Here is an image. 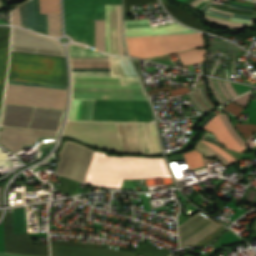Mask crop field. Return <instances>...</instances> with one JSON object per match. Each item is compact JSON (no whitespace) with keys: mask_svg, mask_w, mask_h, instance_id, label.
<instances>
[{"mask_svg":"<svg viewBox=\"0 0 256 256\" xmlns=\"http://www.w3.org/2000/svg\"><path fill=\"white\" fill-rule=\"evenodd\" d=\"M136 253L147 255V256H169L171 253L161 250L159 248L153 247L146 243L139 246Z\"/></svg>","mask_w":256,"mask_h":256,"instance_id":"730fd06b","label":"crop field"},{"mask_svg":"<svg viewBox=\"0 0 256 256\" xmlns=\"http://www.w3.org/2000/svg\"><path fill=\"white\" fill-rule=\"evenodd\" d=\"M235 60H236V57H235V59L231 62V66H230V75H234L233 72H235V71H234Z\"/></svg>","mask_w":256,"mask_h":256,"instance_id":"b54c1fbb","label":"crop field"},{"mask_svg":"<svg viewBox=\"0 0 256 256\" xmlns=\"http://www.w3.org/2000/svg\"><path fill=\"white\" fill-rule=\"evenodd\" d=\"M194 32L176 23L151 27L148 19L125 20L126 37L151 36L157 34ZM130 55L141 58L162 55L158 36L126 38Z\"/></svg>","mask_w":256,"mask_h":256,"instance_id":"dd49c442","label":"crop field"},{"mask_svg":"<svg viewBox=\"0 0 256 256\" xmlns=\"http://www.w3.org/2000/svg\"><path fill=\"white\" fill-rule=\"evenodd\" d=\"M166 90H169V92L172 96H175V95H178V94L180 95L182 93L191 92L190 89L188 88V86H184V87H181V88H178V89H175V90H173L172 86H168V87H165V88L149 91V92H147V94L150 95V94H154V93H161V92H164Z\"/></svg>","mask_w":256,"mask_h":256,"instance_id":"bd1437ed","label":"crop field"},{"mask_svg":"<svg viewBox=\"0 0 256 256\" xmlns=\"http://www.w3.org/2000/svg\"><path fill=\"white\" fill-rule=\"evenodd\" d=\"M194 95L197 97V99L199 100V102L202 104L203 107H205L206 109L210 110V108L208 106H206L203 101L200 99L199 95L197 94V92H194Z\"/></svg>","mask_w":256,"mask_h":256,"instance_id":"03da06ac","label":"crop field"},{"mask_svg":"<svg viewBox=\"0 0 256 256\" xmlns=\"http://www.w3.org/2000/svg\"><path fill=\"white\" fill-rule=\"evenodd\" d=\"M14 233L27 232L25 208L13 210Z\"/></svg>","mask_w":256,"mask_h":256,"instance_id":"a9b5d70f","label":"crop field"},{"mask_svg":"<svg viewBox=\"0 0 256 256\" xmlns=\"http://www.w3.org/2000/svg\"><path fill=\"white\" fill-rule=\"evenodd\" d=\"M116 125L123 153L156 155L162 152L155 124Z\"/></svg>","mask_w":256,"mask_h":256,"instance_id":"d8731c3e","label":"crop field"},{"mask_svg":"<svg viewBox=\"0 0 256 256\" xmlns=\"http://www.w3.org/2000/svg\"><path fill=\"white\" fill-rule=\"evenodd\" d=\"M0 24H8V23H5V22H3V21L0 20Z\"/></svg>","mask_w":256,"mask_h":256,"instance_id":"89e229c0","label":"crop field"},{"mask_svg":"<svg viewBox=\"0 0 256 256\" xmlns=\"http://www.w3.org/2000/svg\"><path fill=\"white\" fill-rule=\"evenodd\" d=\"M229 127L231 128L232 132L238 138V140L246 147L245 141L242 137L237 133V131L232 126L227 114H223ZM227 123L225 122L222 114H217L213 117L204 127V129H208L212 131L218 140L222 142L225 147L229 149H233L238 152H242L244 150V146L237 140L234 134L231 132L230 128L228 127Z\"/></svg>","mask_w":256,"mask_h":256,"instance_id":"733c2abd","label":"crop field"},{"mask_svg":"<svg viewBox=\"0 0 256 256\" xmlns=\"http://www.w3.org/2000/svg\"><path fill=\"white\" fill-rule=\"evenodd\" d=\"M67 87L8 80L4 103L64 110Z\"/></svg>","mask_w":256,"mask_h":256,"instance_id":"f4fd0767","label":"crop field"},{"mask_svg":"<svg viewBox=\"0 0 256 256\" xmlns=\"http://www.w3.org/2000/svg\"><path fill=\"white\" fill-rule=\"evenodd\" d=\"M12 24L20 25L42 34H61L60 13L40 14L39 0H30L11 13Z\"/></svg>","mask_w":256,"mask_h":256,"instance_id":"3316defc","label":"crop field"},{"mask_svg":"<svg viewBox=\"0 0 256 256\" xmlns=\"http://www.w3.org/2000/svg\"><path fill=\"white\" fill-rule=\"evenodd\" d=\"M92 120L150 122L153 119L148 101L95 100Z\"/></svg>","mask_w":256,"mask_h":256,"instance_id":"5a996713","label":"crop field"},{"mask_svg":"<svg viewBox=\"0 0 256 256\" xmlns=\"http://www.w3.org/2000/svg\"><path fill=\"white\" fill-rule=\"evenodd\" d=\"M77 184H78L77 181H73V180L62 177L59 190L69 195H73L76 192Z\"/></svg>","mask_w":256,"mask_h":256,"instance_id":"750c4746","label":"crop field"},{"mask_svg":"<svg viewBox=\"0 0 256 256\" xmlns=\"http://www.w3.org/2000/svg\"><path fill=\"white\" fill-rule=\"evenodd\" d=\"M0 256H22V255H11V254H2V253H0Z\"/></svg>","mask_w":256,"mask_h":256,"instance_id":"425ffa30","label":"crop field"},{"mask_svg":"<svg viewBox=\"0 0 256 256\" xmlns=\"http://www.w3.org/2000/svg\"><path fill=\"white\" fill-rule=\"evenodd\" d=\"M235 126L238 128L241 134L245 137V139L256 131V125H252V124L240 125L236 123Z\"/></svg>","mask_w":256,"mask_h":256,"instance_id":"120bbe31","label":"crop field"},{"mask_svg":"<svg viewBox=\"0 0 256 256\" xmlns=\"http://www.w3.org/2000/svg\"><path fill=\"white\" fill-rule=\"evenodd\" d=\"M5 252L49 256L48 245H32L30 234H13L12 212L3 222Z\"/></svg>","mask_w":256,"mask_h":256,"instance_id":"cbeb9de0","label":"crop field"},{"mask_svg":"<svg viewBox=\"0 0 256 256\" xmlns=\"http://www.w3.org/2000/svg\"><path fill=\"white\" fill-rule=\"evenodd\" d=\"M199 95L202 97L203 101L210 107L215 108L214 105L212 104V102L209 100V98L207 97V93L204 89V87H200L197 89Z\"/></svg>","mask_w":256,"mask_h":256,"instance_id":"5866460e","label":"crop field"},{"mask_svg":"<svg viewBox=\"0 0 256 256\" xmlns=\"http://www.w3.org/2000/svg\"><path fill=\"white\" fill-rule=\"evenodd\" d=\"M148 60L159 62V63L165 64V65H169V66L173 65V63L171 62V60H170L168 55L161 56V57H156V58H150Z\"/></svg>","mask_w":256,"mask_h":256,"instance_id":"028f5c9d","label":"crop field"},{"mask_svg":"<svg viewBox=\"0 0 256 256\" xmlns=\"http://www.w3.org/2000/svg\"><path fill=\"white\" fill-rule=\"evenodd\" d=\"M254 1V0H253ZM256 1V0H255Z\"/></svg>","mask_w":256,"mask_h":256,"instance_id":"1f2cbd36","label":"crop field"},{"mask_svg":"<svg viewBox=\"0 0 256 256\" xmlns=\"http://www.w3.org/2000/svg\"><path fill=\"white\" fill-rule=\"evenodd\" d=\"M216 114H212V115H210L202 124H201V128H203V126L213 117V116H215Z\"/></svg>","mask_w":256,"mask_h":256,"instance_id":"d23c7cc5","label":"crop field"},{"mask_svg":"<svg viewBox=\"0 0 256 256\" xmlns=\"http://www.w3.org/2000/svg\"><path fill=\"white\" fill-rule=\"evenodd\" d=\"M157 0H124V15L132 14L131 5L154 3Z\"/></svg>","mask_w":256,"mask_h":256,"instance_id":"1d83c4d3","label":"crop field"},{"mask_svg":"<svg viewBox=\"0 0 256 256\" xmlns=\"http://www.w3.org/2000/svg\"><path fill=\"white\" fill-rule=\"evenodd\" d=\"M105 52L126 55L123 49L121 5H105Z\"/></svg>","mask_w":256,"mask_h":256,"instance_id":"5142ce71","label":"crop field"},{"mask_svg":"<svg viewBox=\"0 0 256 256\" xmlns=\"http://www.w3.org/2000/svg\"><path fill=\"white\" fill-rule=\"evenodd\" d=\"M41 13L60 12L59 0H40Z\"/></svg>","mask_w":256,"mask_h":256,"instance_id":"d3111659","label":"crop field"},{"mask_svg":"<svg viewBox=\"0 0 256 256\" xmlns=\"http://www.w3.org/2000/svg\"><path fill=\"white\" fill-rule=\"evenodd\" d=\"M203 0H195L192 4H190L189 6L191 7H195L197 6L200 2H202ZM212 0H204L202 3H200L197 7H195L196 10L198 11H204L210 4H211Z\"/></svg>","mask_w":256,"mask_h":256,"instance_id":"d32e631a","label":"crop field"},{"mask_svg":"<svg viewBox=\"0 0 256 256\" xmlns=\"http://www.w3.org/2000/svg\"><path fill=\"white\" fill-rule=\"evenodd\" d=\"M171 177L163 158L110 157L94 152L86 183L133 190V179Z\"/></svg>","mask_w":256,"mask_h":256,"instance_id":"ac0d7876","label":"crop field"},{"mask_svg":"<svg viewBox=\"0 0 256 256\" xmlns=\"http://www.w3.org/2000/svg\"><path fill=\"white\" fill-rule=\"evenodd\" d=\"M228 230L215 242L213 246H228L243 242L241 238Z\"/></svg>","mask_w":256,"mask_h":256,"instance_id":"eef30255","label":"crop field"},{"mask_svg":"<svg viewBox=\"0 0 256 256\" xmlns=\"http://www.w3.org/2000/svg\"><path fill=\"white\" fill-rule=\"evenodd\" d=\"M183 155L190 169L205 165L201 154L195 151L184 153Z\"/></svg>","mask_w":256,"mask_h":256,"instance_id":"ae1a2a85","label":"crop field"},{"mask_svg":"<svg viewBox=\"0 0 256 256\" xmlns=\"http://www.w3.org/2000/svg\"><path fill=\"white\" fill-rule=\"evenodd\" d=\"M212 7L225 10V11L235 12V13L253 15V12L243 11V10L253 11V6H250V5L235 4V3H231L230 5H228V7L243 9V10H236L232 8L215 5V4H213ZM212 7H210L209 10L205 13V18L208 21L217 23L225 27H230V28H241L243 26H247L254 23L253 16L225 12V11L214 9Z\"/></svg>","mask_w":256,"mask_h":256,"instance_id":"22f410ed","label":"crop field"},{"mask_svg":"<svg viewBox=\"0 0 256 256\" xmlns=\"http://www.w3.org/2000/svg\"><path fill=\"white\" fill-rule=\"evenodd\" d=\"M163 54H174L203 46L202 34L159 36Z\"/></svg>","mask_w":256,"mask_h":256,"instance_id":"4a817a6b","label":"crop field"},{"mask_svg":"<svg viewBox=\"0 0 256 256\" xmlns=\"http://www.w3.org/2000/svg\"><path fill=\"white\" fill-rule=\"evenodd\" d=\"M203 140L209 141V142H213V143L219 145L218 142H217V140H216V138H215L210 132H207V133L204 135ZM219 146H220V145H219ZM220 147H221V146H220Z\"/></svg>","mask_w":256,"mask_h":256,"instance_id":"c035e120","label":"crop field"},{"mask_svg":"<svg viewBox=\"0 0 256 256\" xmlns=\"http://www.w3.org/2000/svg\"><path fill=\"white\" fill-rule=\"evenodd\" d=\"M14 51L62 56L60 47L54 41L17 29H15Z\"/></svg>","mask_w":256,"mask_h":256,"instance_id":"d9b57169","label":"crop field"},{"mask_svg":"<svg viewBox=\"0 0 256 256\" xmlns=\"http://www.w3.org/2000/svg\"><path fill=\"white\" fill-rule=\"evenodd\" d=\"M249 96H250V92L246 93L245 95L241 96L238 99L233 100V102H236V103H239V104H242V105L246 106L247 101L249 99Z\"/></svg>","mask_w":256,"mask_h":256,"instance_id":"b80d0937","label":"crop field"},{"mask_svg":"<svg viewBox=\"0 0 256 256\" xmlns=\"http://www.w3.org/2000/svg\"><path fill=\"white\" fill-rule=\"evenodd\" d=\"M163 4L165 5L166 9L181 22L204 31V29H203L202 25L199 23V21L197 19H195L189 13H187L183 10L177 9V8L170 7L165 3H163Z\"/></svg>","mask_w":256,"mask_h":256,"instance_id":"dafd665d","label":"crop field"},{"mask_svg":"<svg viewBox=\"0 0 256 256\" xmlns=\"http://www.w3.org/2000/svg\"><path fill=\"white\" fill-rule=\"evenodd\" d=\"M195 149H197L200 153L205 155L207 158L215 155L227 166L233 164L236 161L221 148L202 140H200V142L197 144Z\"/></svg>","mask_w":256,"mask_h":256,"instance_id":"92a150f3","label":"crop field"},{"mask_svg":"<svg viewBox=\"0 0 256 256\" xmlns=\"http://www.w3.org/2000/svg\"><path fill=\"white\" fill-rule=\"evenodd\" d=\"M221 77L229 80V78H228V73H227V69H224V70L221 72Z\"/></svg>","mask_w":256,"mask_h":256,"instance_id":"5d738f31","label":"crop field"},{"mask_svg":"<svg viewBox=\"0 0 256 256\" xmlns=\"http://www.w3.org/2000/svg\"><path fill=\"white\" fill-rule=\"evenodd\" d=\"M205 83H203V84H199V85H196L195 87L197 88V87H199V86H202V85H204Z\"/></svg>","mask_w":256,"mask_h":256,"instance_id":"73cf0c24","label":"crop field"},{"mask_svg":"<svg viewBox=\"0 0 256 256\" xmlns=\"http://www.w3.org/2000/svg\"><path fill=\"white\" fill-rule=\"evenodd\" d=\"M9 27H0V99L5 84L6 67L8 62V41H9ZM1 107V101H0Z\"/></svg>","mask_w":256,"mask_h":256,"instance_id":"214f88e0","label":"crop field"},{"mask_svg":"<svg viewBox=\"0 0 256 256\" xmlns=\"http://www.w3.org/2000/svg\"><path fill=\"white\" fill-rule=\"evenodd\" d=\"M188 98L191 100L192 104L194 105V107H196L198 109L199 112L204 113L206 112V110L200 105V103L198 102V100L195 98V96L193 95V93L187 94Z\"/></svg>","mask_w":256,"mask_h":256,"instance_id":"e1f06a70","label":"crop field"},{"mask_svg":"<svg viewBox=\"0 0 256 256\" xmlns=\"http://www.w3.org/2000/svg\"><path fill=\"white\" fill-rule=\"evenodd\" d=\"M104 4L121 0H64L66 33L89 45V19H104Z\"/></svg>","mask_w":256,"mask_h":256,"instance_id":"e52e79f7","label":"crop field"},{"mask_svg":"<svg viewBox=\"0 0 256 256\" xmlns=\"http://www.w3.org/2000/svg\"><path fill=\"white\" fill-rule=\"evenodd\" d=\"M62 147L55 173L84 181L94 151L71 141Z\"/></svg>","mask_w":256,"mask_h":256,"instance_id":"28ad6ade","label":"crop field"},{"mask_svg":"<svg viewBox=\"0 0 256 256\" xmlns=\"http://www.w3.org/2000/svg\"><path fill=\"white\" fill-rule=\"evenodd\" d=\"M224 109L228 110L229 112L237 116L241 112L243 107L230 103L226 107H224Z\"/></svg>","mask_w":256,"mask_h":256,"instance_id":"0bd39190","label":"crop field"},{"mask_svg":"<svg viewBox=\"0 0 256 256\" xmlns=\"http://www.w3.org/2000/svg\"><path fill=\"white\" fill-rule=\"evenodd\" d=\"M73 95L69 120H91L94 99L147 100L128 59L69 47Z\"/></svg>","mask_w":256,"mask_h":256,"instance_id":"8a807250","label":"crop field"},{"mask_svg":"<svg viewBox=\"0 0 256 256\" xmlns=\"http://www.w3.org/2000/svg\"><path fill=\"white\" fill-rule=\"evenodd\" d=\"M62 111L6 105L0 142L11 151L32 144L37 136L55 135Z\"/></svg>","mask_w":256,"mask_h":256,"instance_id":"34b2d1b8","label":"crop field"},{"mask_svg":"<svg viewBox=\"0 0 256 256\" xmlns=\"http://www.w3.org/2000/svg\"><path fill=\"white\" fill-rule=\"evenodd\" d=\"M95 48L104 51V20H95Z\"/></svg>","mask_w":256,"mask_h":256,"instance_id":"4177f3b9","label":"crop field"},{"mask_svg":"<svg viewBox=\"0 0 256 256\" xmlns=\"http://www.w3.org/2000/svg\"><path fill=\"white\" fill-rule=\"evenodd\" d=\"M183 66L201 63L204 61L203 49H193L184 53L178 54Z\"/></svg>","mask_w":256,"mask_h":256,"instance_id":"00972430","label":"crop field"},{"mask_svg":"<svg viewBox=\"0 0 256 256\" xmlns=\"http://www.w3.org/2000/svg\"><path fill=\"white\" fill-rule=\"evenodd\" d=\"M52 256H136L135 253H129L113 248L103 249L79 247V246H65V245H51Z\"/></svg>","mask_w":256,"mask_h":256,"instance_id":"bc2a9ffb","label":"crop field"},{"mask_svg":"<svg viewBox=\"0 0 256 256\" xmlns=\"http://www.w3.org/2000/svg\"><path fill=\"white\" fill-rule=\"evenodd\" d=\"M8 79L67 85L64 58L11 52Z\"/></svg>","mask_w":256,"mask_h":256,"instance_id":"412701ff","label":"crop field"},{"mask_svg":"<svg viewBox=\"0 0 256 256\" xmlns=\"http://www.w3.org/2000/svg\"><path fill=\"white\" fill-rule=\"evenodd\" d=\"M178 1H181V2H183V3H186V4H189L191 1H193V0H178Z\"/></svg>","mask_w":256,"mask_h":256,"instance_id":"25e5ab78","label":"crop field"},{"mask_svg":"<svg viewBox=\"0 0 256 256\" xmlns=\"http://www.w3.org/2000/svg\"><path fill=\"white\" fill-rule=\"evenodd\" d=\"M218 224L212 222L208 218L204 217L201 214H195L186 222H184L181 227L182 232V242L183 246L187 244H196L209 233H211L214 229H216ZM226 228L222 225L205 237L202 241H200L196 245H205L210 242L212 239L217 237L221 232H223Z\"/></svg>","mask_w":256,"mask_h":256,"instance_id":"d1516ede","label":"crop field"},{"mask_svg":"<svg viewBox=\"0 0 256 256\" xmlns=\"http://www.w3.org/2000/svg\"><path fill=\"white\" fill-rule=\"evenodd\" d=\"M224 83H225V85H226V88H227L229 94L232 96V98L238 96V95L234 92V90L232 89L231 83H227V82H224Z\"/></svg>","mask_w":256,"mask_h":256,"instance_id":"c21b1889","label":"crop field"}]
</instances>
